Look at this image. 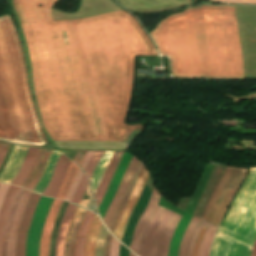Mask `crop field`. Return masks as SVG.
Returning a JSON list of instances; mask_svg holds the SVG:
<instances>
[{"mask_svg": "<svg viewBox=\"0 0 256 256\" xmlns=\"http://www.w3.org/2000/svg\"><path fill=\"white\" fill-rule=\"evenodd\" d=\"M255 240L256 167H252L219 228L210 256H250Z\"/></svg>", "mask_w": 256, "mask_h": 256, "instance_id": "crop-field-1", "label": "crop field"}, {"mask_svg": "<svg viewBox=\"0 0 256 256\" xmlns=\"http://www.w3.org/2000/svg\"><path fill=\"white\" fill-rule=\"evenodd\" d=\"M159 199L154 188L133 234L130 249L138 256L168 255L169 243L181 216L158 206Z\"/></svg>", "mask_w": 256, "mask_h": 256, "instance_id": "crop-field-2", "label": "crop field"}, {"mask_svg": "<svg viewBox=\"0 0 256 256\" xmlns=\"http://www.w3.org/2000/svg\"><path fill=\"white\" fill-rule=\"evenodd\" d=\"M246 171L247 169H239L227 166L219 185L217 184L218 186L208 202L207 209L202 217L203 219L209 222L211 221L225 194L234 196L238 186L246 175ZM231 199V196L225 195L212 220V223L219 226Z\"/></svg>", "mask_w": 256, "mask_h": 256, "instance_id": "crop-field-3", "label": "crop field"}, {"mask_svg": "<svg viewBox=\"0 0 256 256\" xmlns=\"http://www.w3.org/2000/svg\"><path fill=\"white\" fill-rule=\"evenodd\" d=\"M141 161L134 155L133 158L131 159L130 161V164H129V167L114 195V198L109 206V209L104 217V222L105 224L107 225L108 229L111 225V222L113 220V217L118 209V207L120 206L123 198H124V195H125V192L134 176V173L136 171V168L138 166V164L140 163Z\"/></svg>", "mask_w": 256, "mask_h": 256, "instance_id": "crop-field-4", "label": "crop field"}, {"mask_svg": "<svg viewBox=\"0 0 256 256\" xmlns=\"http://www.w3.org/2000/svg\"><path fill=\"white\" fill-rule=\"evenodd\" d=\"M148 176H149V172L147 171V169L144 166L143 170L141 171V173L136 181V184L133 188L131 196L121 214V217H120L117 227L115 229L114 235L116 237H118L120 240L122 239V235H123V231L126 226V223L131 215V212H132L134 206L136 205V203L138 201L139 195L144 187V183L147 180Z\"/></svg>", "mask_w": 256, "mask_h": 256, "instance_id": "crop-field-5", "label": "crop field"}, {"mask_svg": "<svg viewBox=\"0 0 256 256\" xmlns=\"http://www.w3.org/2000/svg\"><path fill=\"white\" fill-rule=\"evenodd\" d=\"M31 192L24 190L11 223L10 231L7 238L6 256H15V242L20 227V223L24 214L26 204L31 196Z\"/></svg>", "mask_w": 256, "mask_h": 256, "instance_id": "crop-field-6", "label": "crop field"}, {"mask_svg": "<svg viewBox=\"0 0 256 256\" xmlns=\"http://www.w3.org/2000/svg\"><path fill=\"white\" fill-rule=\"evenodd\" d=\"M39 198H40L39 195H36L33 193L27 204L25 214L22 220V224L19 230L17 242H16V256H25L26 236L30 227L31 217L39 201Z\"/></svg>", "mask_w": 256, "mask_h": 256, "instance_id": "crop-field-7", "label": "crop field"}, {"mask_svg": "<svg viewBox=\"0 0 256 256\" xmlns=\"http://www.w3.org/2000/svg\"><path fill=\"white\" fill-rule=\"evenodd\" d=\"M52 151L53 150L50 149L40 148L36 160L31 168V171L24 183L22 184L23 187H26L33 191L43 175L47 160L50 157Z\"/></svg>", "mask_w": 256, "mask_h": 256, "instance_id": "crop-field-8", "label": "crop field"}, {"mask_svg": "<svg viewBox=\"0 0 256 256\" xmlns=\"http://www.w3.org/2000/svg\"><path fill=\"white\" fill-rule=\"evenodd\" d=\"M28 151L27 147L15 146L13 152L10 156V160L0 175V181L11 183L14 176L21 167V164L25 158V155Z\"/></svg>", "mask_w": 256, "mask_h": 256, "instance_id": "crop-field-9", "label": "crop field"}, {"mask_svg": "<svg viewBox=\"0 0 256 256\" xmlns=\"http://www.w3.org/2000/svg\"><path fill=\"white\" fill-rule=\"evenodd\" d=\"M70 162L71 161L67 157H65L63 154L61 155L55 167L53 176L42 195L55 197L61 183L63 182Z\"/></svg>", "mask_w": 256, "mask_h": 256, "instance_id": "crop-field-10", "label": "crop field"}, {"mask_svg": "<svg viewBox=\"0 0 256 256\" xmlns=\"http://www.w3.org/2000/svg\"><path fill=\"white\" fill-rule=\"evenodd\" d=\"M62 202L63 201L55 199L50 208L49 214L47 216V219L42 231L39 256H48V247H49L51 229L54 225L58 210Z\"/></svg>", "mask_w": 256, "mask_h": 256, "instance_id": "crop-field-11", "label": "crop field"}, {"mask_svg": "<svg viewBox=\"0 0 256 256\" xmlns=\"http://www.w3.org/2000/svg\"><path fill=\"white\" fill-rule=\"evenodd\" d=\"M123 152H114L108 166L107 169L98 185L97 191L95 193V197H96V201H97V205L100 204V202L102 201L104 194L106 192V189L111 181V178L118 166L119 160L122 156Z\"/></svg>", "mask_w": 256, "mask_h": 256, "instance_id": "crop-field-12", "label": "crop field"}, {"mask_svg": "<svg viewBox=\"0 0 256 256\" xmlns=\"http://www.w3.org/2000/svg\"><path fill=\"white\" fill-rule=\"evenodd\" d=\"M202 226L207 228V231H206L205 235L202 238V242H201V245H200L198 256H208L210 245H211V242H212L213 237L215 235L216 227L209 224L208 222H206L204 220H201V222H200V224H199V226H198V228L195 232V235H194V237L192 239V242L190 244V247H189L188 256L192 255V251H193V248H194V245H195L197 234H198V232H199V230Z\"/></svg>", "mask_w": 256, "mask_h": 256, "instance_id": "crop-field-13", "label": "crop field"}, {"mask_svg": "<svg viewBox=\"0 0 256 256\" xmlns=\"http://www.w3.org/2000/svg\"><path fill=\"white\" fill-rule=\"evenodd\" d=\"M76 206L69 204L67 212L65 214L64 220L60 226L58 241H57V248H56V256H64V246L67 237V233L74 216Z\"/></svg>", "mask_w": 256, "mask_h": 256, "instance_id": "crop-field-14", "label": "crop field"}, {"mask_svg": "<svg viewBox=\"0 0 256 256\" xmlns=\"http://www.w3.org/2000/svg\"><path fill=\"white\" fill-rule=\"evenodd\" d=\"M85 210L81 209V208H77L75 216L73 218L69 233L73 227V223L74 220L78 221V222H82L83 216H84ZM74 223V227L70 233V238H69V244H68V252H67V243H68V237H69V233H68V237H67V241H66V246H65V256H66V252H67V256H74V252H75V244H76V238H77V234L80 228V223L76 222Z\"/></svg>", "mask_w": 256, "mask_h": 256, "instance_id": "crop-field-15", "label": "crop field"}, {"mask_svg": "<svg viewBox=\"0 0 256 256\" xmlns=\"http://www.w3.org/2000/svg\"><path fill=\"white\" fill-rule=\"evenodd\" d=\"M93 217H94V214L86 211L79 234H78V238H77L75 256H84L85 241H86L88 230Z\"/></svg>", "mask_w": 256, "mask_h": 256, "instance_id": "crop-field-16", "label": "crop field"}, {"mask_svg": "<svg viewBox=\"0 0 256 256\" xmlns=\"http://www.w3.org/2000/svg\"><path fill=\"white\" fill-rule=\"evenodd\" d=\"M17 190H18V187H16V186H12V185L9 186V189L6 193L3 205L0 210V248H1V239H2V234H3L4 224H5L8 212L11 208L12 201H13V198H14Z\"/></svg>", "mask_w": 256, "mask_h": 256, "instance_id": "crop-field-17", "label": "crop field"}, {"mask_svg": "<svg viewBox=\"0 0 256 256\" xmlns=\"http://www.w3.org/2000/svg\"><path fill=\"white\" fill-rule=\"evenodd\" d=\"M38 150L39 149L34 148L29 149L21 169L19 170L11 184L21 186L30 171L31 165L35 159Z\"/></svg>", "mask_w": 256, "mask_h": 256, "instance_id": "crop-field-18", "label": "crop field"}, {"mask_svg": "<svg viewBox=\"0 0 256 256\" xmlns=\"http://www.w3.org/2000/svg\"><path fill=\"white\" fill-rule=\"evenodd\" d=\"M60 154L61 153H59L56 150L53 151V153H52V155H51V157H50V159L47 163V167H46V170L44 172V175H43L41 181L39 182V184L34 189V192L42 194L43 190L45 189L46 185L48 184V182L51 178L53 167H54L56 161L58 160Z\"/></svg>", "mask_w": 256, "mask_h": 256, "instance_id": "crop-field-19", "label": "crop field"}, {"mask_svg": "<svg viewBox=\"0 0 256 256\" xmlns=\"http://www.w3.org/2000/svg\"><path fill=\"white\" fill-rule=\"evenodd\" d=\"M200 221V218L193 216L181 240L178 256H187L188 246L194 234V231Z\"/></svg>", "mask_w": 256, "mask_h": 256, "instance_id": "crop-field-20", "label": "crop field"}, {"mask_svg": "<svg viewBox=\"0 0 256 256\" xmlns=\"http://www.w3.org/2000/svg\"><path fill=\"white\" fill-rule=\"evenodd\" d=\"M100 224H101L100 219L95 215L90 227L87 241H86L85 256H94L95 239H96Z\"/></svg>", "mask_w": 256, "mask_h": 256, "instance_id": "crop-field-21", "label": "crop field"}, {"mask_svg": "<svg viewBox=\"0 0 256 256\" xmlns=\"http://www.w3.org/2000/svg\"><path fill=\"white\" fill-rule=\"evenodd\" d=\"M68 206V202H63L61 209L58 213L53 231H52V235H51V239H50V248H49V256H55V247H56V238H57V234H58V229H59V225L64 217L65 211L67 209Z\"/></svg>", "mask_w": 256, "mask_h": 256, "instance_id": "crop-field-22", "label": "crop field"}, {"mask_svg": "<svg viewBox=\"0 0 256 256\" xmlns=\"http://www.w3.org/2000/svg\"><path fill=\"white\" fill-rule=\"evenodd\" d=\"M112 154H113V152L105 151L101 161L99 162V164L90 180L91 184H92L93 192L95 191V189L100 181V178H101Z\"/></svg>", "mask_w": 256, "mask_h": 256, "instance_id": "crop-field-23", "label": "crop field"}, {"mask_svg": "<svg viewBox=\"0 0 256 256\" xmlns=\"http://www.w3.org/2000/svg\"><path fill=\"white\" fill-rule=\"evenodd\" d=\"M143 165H144V164L141 162L140 165H139V167H138V169H137V171H136V173H135V176H134V178H133V180H132V182H131V184H130V186H129L127 192H126L125 198H124V200H123L121 206L119 207V209H118V211H117V213H116V215H115V217H114L113 223H112V225H111V227H110V229H109L112 233L114 232V229H115V226H116V224H117V221H118V219H119V217H120V214H121V212H122V210H123V208H124V206H125V204H126L128 198H129V196H130V193H131V191H132V188H133V186H134V184H135V181H136V179H137V177H138V175H139V173H140V171H141Z\"/></svg>", "mask_w": 256, "mask_h": 256, "instance_id": "crop-field-24", "label": "crop field"}, {"mask_svg": "<svg viewBox=\"0 0 256 256\" xmlns=\"http://www.w3.org/2000/svg\"><path fill=\"white\" fill-rule=\"evenodd\" d=\"M78 169L79 168L76 165L71 163V165L69 167V170H68V173H67V176H66L60 190L58 191V193L56 195L57 198H61V199L64 198V196H65V194H66V192H67L75 174L77 173Z\"/></svg>", "mask_w": 256, "mask_h": 256, "instance_id": "crop-field-25", "label": "crop field"}, {"mask_svg": "<svg viewBox=\"0 0 256 256\" xmlns=\"http://www.w3.org/2000/svg\"><path fill=\"white\" fill-rule=\"evenodd\" d=\"M24 189L20 188L14 201H13V205H12V208L9 212V215H8V218H7V221H6V224H5V228H4V234H3V240H2V256H5V249H6V236H7V231H8V228L10 226V223H11V220H12V217H13V213H14V210L16 208V205L19 201V198L22 194Z\"/></svg>", "mask_w": 256, "mask_h": 256, "instance_id": "crop-field-26", "label": "crop field"}, {"mask_svg": "<svg viewBox=\"0 0 256 256\" xmlns=\"http://www.w3.org/2000/svg\"><path fill=\"white\" fill-rule=\"evenodd\" d=\"M107 233L108 231L103 226V224H101V227L96 239L95 256H103L104 243L106 240Z\"/></svg>", "mask_w": 256, "mask_h": 256, "instance_id": "crop-field-27", "label": "crop field"}, {"mask_svg": "<svg viewBox=\"0 0 256 256\" xmlns=\"http://www.w3.org/2000/svg\"><path fill=\"white\" fill-rule=\"evenodd\" d=\"M87 185H88V182H87L86 175L83 174V176L80 180V183H79V185H78V187H77V189H76V191H75V193L72 197V200H71L72 202H75L77 204L79 203Z\"/></svg>", "mask_w": 256, "mask_h": 256, "instance_id": "crop-field-28", "label": "crop field"}, {"mask_svg": "<svg viewBox=\"0 0 256 256\" xmlns=\"http://www.w3.org/2000/svg\"><path fill=\"white\" fill-rule=\"evenodd\" d=\"M103 153H104V151H95L90 162L88 163L86 169L84 170L85 173L88 175L89 179H90V176H91L95 166L97 165L100 158L102 157Z\"/></svg>", "mask_w": 256, "mask_h": 256, "instance_id": "crop-field-29", "label": "crop field"}, {"mask_svg": "<svg viewBox=\"0 0 256 256\" xmlns=\"http://www.w3.org/2000/svg\"><path fill=\"white\" fill-rule=\"evenodd\" d=\"M82 173L83 172L79 169V171H78V173H77V175H76V177H75V179H74V181H73V183L71 185V188H70V190H69V192H68V194H67V196L65 198L66 200L70 201V199H71V197L73 195V192H74V190H75V188H76V186H77V184H78V182H79V180L81 178Z\"/></svg>", "mask_w": 256, "mask_h": 256, "instance_id": "crop-field-30", "label": "crop field"}, {"mask_svg": "<svg viewBox=\"0 0 256 256\" xmlns=\"http://www.w3.org/2000/svg\"><path fill=\"white\" fill-rule=\"evenodd\" d=\"M119 246L120 244L113 238L111 247H110L109 256H118Z\"/></svg>", "mask_w": 256, "mask_h": 256, "instance_id": "crop-field-31", "label": "crop field"}, {"mask_svg": "<svg viewBox=\"0 0 256 256\" xmlns=\"http://www.w3.org/2000/svg\"><path fill=\"white\" fill-rule=\"evenodd\" d=\"M92 196H91V193H90V190H89V187L87 188L81 202H80V205L84 206L87 208L90 200H91Z\"/></svg>", "mask_w": 256, "mask_h": 256, "instance_id": "crop-field-32", "label": "crop field"}, {"mask_svg": "<svg viewBox=\"0 0 256 256\" xmlns=\"http://www.w3.org/2000/svg\"><path fill=\"white\" fill-rule=\"evenodd\" d=\"M205 231V228L202 227L198 237H197V241H196V245H195V248H194V252H193V255L192 256H197V252H198V248H199V245H200V241H201V238H202V235Z\"/></svg>", "mask_w": 256, "mask_h": 256, "instance_id": "crop-field-33", "label": "crop field"}, {"mask_svg": "<svg viewBox=\"0 0 256 256\" xmlns=\"http://www.w3.org/2000/svg\"><path fill=\"white\" fill-rule=\"evenodd\" d=\"M8 146H9V144L0 143V165H1L2 161H3V159H4V156L6 154Z\"/></svg>", "mask_w": 256, "mask_h": 256, "instance_id": "crop-field-34", "label": "crop field"}, {"mask_svg": "<svg viewBox=\"0 0 256 256\" xmlns=\"http://www.w3.org/2000/svg\"><path fill=\"white\" fill-rule=\"evenodd\" d=\"M7 187H8L7 184L1 183V185H0V207H1L2 201L4 199Z\"/></svg>", "mask_w": 256, "mask_h": 256, "instance_id": "crop-field-35", "label": "crop field"}, {"mask_svg": "<svg viewBox=\"0 0 256 256\" xmlns=\"http://www.w3.org/2000/svg\"><path fill=\"white\" fill-rule=\"evenodd\" d=\"M85 153H86V151H77L73 160L80 165Z\"/></svg>", "mask_w": 256, "mask_h": 256, "instance_id": "crop-field-36", "label": "crop field"}, {"mask_svg": "<svg viewBox=\"0 0 256 256\" xmlns=\"http://www.w3.org/2000/svg\"><path fill=\"white\" fill-rule=\"evenodd\" d=\"M111 238H112V236L110 235V233H108L107 240L105 243L104 256H108Z\"/></svg>", "mask_w": 256, "mask_h": 256, "instance_id": "crop-field-37", "label": "crop field"}, {"mask_svg": "<svg viewBox=\"0 0 256 256\" xmlns=\"http://www.w3.org/2000/svg\"><path fill=\"white\" fill-rule=\"evenodd\" d=\"M92 153H93V151H88V152H87V155H86L85 159L82 161V163H81V165H80L82 168L85 169V167H86V165H87V163H88V161H89V159H90Z\"/></svg>", "mask_w": 256, "mask_h": 256, "instance_id": "crop-field-38", "label": "crop field"}, {"mask_svg": "<svg viewBox=\"0 0 256 256\" xmlns=\"http://www.w3.org/2000/svg\"><path fill=\"white\" fill-rule=\"evenodd\" d=\"M251 256H256V242L254 244L253 250H252V255Z\"/></svg>", "mask_w": 256, "mask_h": 256, "instance_id": "crop-field-39", "label": "crop field"}, {"mask_svg": "<svg viewBox=\"0 0 256 256\" xmlns=\"http://www.w3.org/2000/svg\"><path fill=\"white\" fill-rule=\"evenodd\" d=\"M130 256H134V255H132V254L130 253Z\"/></svg>", "mask_w": 256, "mask_h": 256, "instance_id": "crop-field-40", "label": "crop field"}]
</instances>
